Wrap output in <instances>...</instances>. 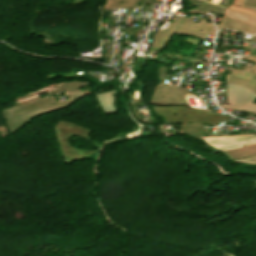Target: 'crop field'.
Returning a JSON list of instances; mask_svg holds the SVG:
<instances>
[{
  "instance_id": "1",
  "label": "crop field",
  "mask_w": 256,
  "mask_h": 256,
  "mask_svg": "<svg viewBox=\"0 0 256 256\" xmlns=\"http://www.w3.org/2000/svg\"><path fill=\"white\" fill-rule=\"evenodd\" d=\"M204 139L208 144L218 149L236 148L241 147L245 144L256 142V136H227Z\"/></svg>"
}]
</instances>
